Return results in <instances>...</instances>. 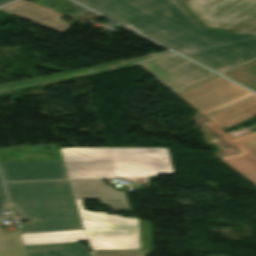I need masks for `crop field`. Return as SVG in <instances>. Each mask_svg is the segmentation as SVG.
I'll return each mask as SVG.
<instances>
[{
	"label": "crop field",
	"mask_w": 256,
	"mask_h": 256,
	"mask_svg": "<svg viewBox=\"0 0 256 256\" xmlns=\"http://www.w3.org/2000/svg\"><path fill=\"white\" fill-rule=\"evenodd\" d=\"M75 200L91 250L140 249L138 218L87 212Z\"/></svg>",
	"instance_id": "f4fd0767"
},
{
	"label": "crop field",
	"mask_w": 256,
	"mask_h": 256,
	"mask_svg": "<svg viewBox=\"0 0 256 256\" xmlns=\"http://www.w3.org/2000/svg\"><path fill=\"white\" fill-rule=\"evenodd\" d=\"M234 31L239 32L241 34L256 36V18H254L253 20L249 21L248 23L242 25L241 27L237 28Z\"/></svg>",
	"instance_id": "4a817a6b"
},
{
	"label": "crop field",
	"mask_w": 256,
	"mask_h": 256,
	"mask_svg": "<svg viewBox=\"0 0 256 256\" xmlns=\"http://www.w3.org/2000/svg\"><path fill=\"white\" fill-rule=\"evenodd\" d=\"M141 250L91 251V256H144L152 252L153 243L150 223L140 220Z\"/></svg>",
	"instance_id": "cbeb9de0"
},
{
	"label": "crop field",
	"mask_w": 256,
	"mask_h": 256,
	"mask_svg": "<svg viewBox=\"0 0 256 256\" xmlns=\"http://www.w3.org/2000/svg\"><path fill=\"white\" fill-rule=\"evenodd\" d=\"M7 1H10V0H0V4L5 3Z\"/></svg>",
	"instance_id": "92a150f3"
},
{
	"label": "crop field",
	"mask_w": 256,
	"mask_h": 256,
	"mask_svg": "<svg viewBox=\"0 0 256 256\" xmlns=\"http://www.w3.org/2000/svg\"><path fill=\"white\" fill-rule=\"evenodd\" d=\"M177 96L222 130L256 115V94L220 76Z\"/></svg>",
	"instance_id": "412701ff"
},
{
	"label": "crop field",
	"mask_w": 256,
	"mask_h": 256,
	"mask_svg": "<svg viewBox=\"0 0 256 256\" xmlns=\"http://www.w3.org/2000/svg\"><path fill=\"white\" fill-rule=\"evenodd\" d=\"M27 256H90L89 251L77 243L25 247Z\"/></svg>",
	"instance_id": "22f410ed"
},
{
	"label": "crop field",
	"mask_w": 256,
	"mask_h": 256,
	"mask_svg": "<svg viewBox=\"0 0 256 256\" xmlns=\"http://www.w3.org/2000/svg\"><path fill=\"white\" fill-rule=\"evenodd\" d=\"M223 75L256 91V60Z\"/></svg>",
	"instance_id": "5142ce71"
},
{
	"label": "crop field",
	"mask_w": 256,
	"mask_h": 256,
	"mask_svg": "<svg viewBox=\"0 0 256 256\" xmlns=\"http://www.w3.org/2000/svg\"><path fill=\"white\" fill-rule=\"evenodd\" d=\"M4 181L69 178L64 162L0 164Z\"/></svg>",
	"instance_id": "d8731c3e"
},
{
	"label": "crop field",
	"mask_w": 256,
	"mask_h": 256,
	"mask_svg": "<svg viewBox=\"0 0 256 256\" xmlns=\"http://www.w3.org/2000/svg\"><path fill=\"white\" fill-rule=\"evenodd\" d=\"M9 205L5 197H0V220L13 219L11 214L3 215L2 211H9Z\"/></svg>",
	"instance_id": "bc2a9ffb"
},
{
	"label": "crop field",
	"mask_w": 256,
	"mask_h": 256,
	"mask_svg": "<svg viewBox=\"0 0 256 256\" xmlns=\"http://www.w3.org/2000/svg\"><path fill=\"white\" fill-rule=\"evenodd\" d=\"M74 197L79 199H100L102 205L113 210L129 211L122 192L107 186L102 180H71Z\"/></svg>",
	"instance_id": "5a996713"
},
{
	"label": "crop field",
	"mask_w": 256,
	"mask_h": 256,
	"mask_svg": "<svg viewBox=\"0 0 256 256\" xmlns=\"http://www.w3.org/2000/svg\"><path fill=\"white\" fill-rule=\"evenodd\" d=\"M132 64L146 70L175 94L217 76L172 52Z\"/></svg>",
	"instance_id": "dd49c442"
},
{
	"label": "crop field",
	"mask_w": 256,
	"mask_h": 256,
	"mask_svg": "<svg viewBox=\"0 0 256 256\" xmlns=\"http://www.w3.org/2000/svg\"><path fill=\"white\" fill-rule=\"evenodd\" d=\"M70 178L173 174L167 148H60Z\"/></svg>",
	"instance_id": "ac0d7876"
},
{
	"label": "crop field",
	"mask_w": 256,
	"mask_h": 256,
	"mask_svg": "<svg viewBox=\"0 0 256 256\" xmlns=\"http://www.w3.org/2000/svg\"><path fill=\"white\" fill-rule=\"evenodd\" d=\"M204 125L241 152L234 155L220 157V159L256 186V156L234 141L229 135L210 121L204 123Z\"/></svg>",
	"instance_id": "28ad6ade"
},
{
	"label": "crop field",
	"mask_w": 256,
	"mask_h": 256,
	"mask_svg": "<svg viewBox=\"0 0 256 256\" xmlns=\"http://www.w3.org/2000/svg\"><path fill=\"white\" fill-rule=\"evenodd\" d=\"M205 26L234 30L256 17V0H180Z\"/></svg>",
	"instance_id": "e52e79f7"
},
{
	"label": "crop field",
	"mask_w": 256,
	"mask_h": 256,
	"mask_svg": "<svg viewBox=\"0 0 256 256\" xmlns=\"http://www.w3.org/2000/svg\"><path fill=\"white\" fill-rule=\"evenodd\" d=\"M254 155H256V132L233 138Z\"/></svg>",
	"instance_id": "733c2abd"
},
{
	"label": "crop field",
	"mask_w": 256,
	"mask_h": 256,
	"mask_svg": "<svg viewBox=\"0 0 256 256\" xmlns=\"http://www.w3.org/2000/svg\"><path fill=\"white\" fill-rule=\"evenodd\" d=\"M0 196H5L1 180H0Z\"/></svg>",
	"instance_id": "214f88e0"
},
{
	"label": "crop field",
	"mask_w": 256,
	"mask_h": 256,
	"mask_svg": "<svg viewBox=\"0 0 256 256\" xmlns=\"http://www.w3.org/2000/svg\"><path fill=\"white\" fill-rule=\"evenodd\" d=\"M0 256H24L17 231L3 232L0 224Z\"/></svg>",
	"instance_id": "d9b57169"
},
{
	"label": "crop field",
	"mask_w": 256,
	"mask_h": 256,
	"mask_svg": "<svg viewBox=\"0 0 256 256\" xmlns=\"http://www.w3.org/2000/svg\"><path fill=\"white\" fill-rule=\"evenodd\" d=\"M76 1L219 73L256 57L255 37L206 29L177 0Z\"/></svg>",
	"instance_id": "8a807250"
},
{
	"label": "crop field",
	"mask_w": 256,
	"mask_h": 256,
	"mask_svg": "<svg viewBox=\"0 0 256 256\" xmlns=\"http://www.w3.org/2000/svg\"><path fill=\"white\" fill-rule=\"evenodd\" d=\"M2 10L58 34L70 28L69 24L58 21L62 16L26 0Z\"/></svg>",
	"instance_id": "3316defc"
},
{
	"label": "crop field",
	"mask_w": 256,
	"mask_h": 256,
	"mask_svg": "<svg viewBox=\"0 0 256 256\" xmlns=\"http://www.w3.org/2000/svg\"><path fill=\"white\" fill-rule=\"evenodd\" d=\"M24 245L88 241L84 230L21 234Z\"/></svg>",
	"instance_id": "d1516ede"
},
{
	"label": "crop field",
	"mask_w": 256,
	"mask_h": 256,
	"mask_svg": "<svg viewBox=\"0 0 256 256\" xmlns=\"http://www.w3.org/2000/svg\"><path fill=\"white\" fill-rule=\"evenodd\" d=\"M5 184L14 214L31 220L20 233L83 229L69 181Z\"/></svg>",
	"instance_id": "34b2d1b8"
}]
</instances>
